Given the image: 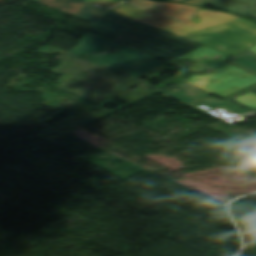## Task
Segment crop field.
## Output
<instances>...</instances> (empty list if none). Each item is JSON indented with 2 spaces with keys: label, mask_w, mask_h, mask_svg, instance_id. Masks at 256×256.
Masks as SVG:
<instances>
[{
  "label": "crop field",
  "mask_w": 256,
  "mask_h": 256,
  "mask_svg": "<svg viewBox=\"0 0 256 256\" xmlns=\"http://www.w3.org/2000/svg\"><path fill=\"white\" fill-rule=\"evenodd\" d=\"M217 54L222 57L212 60ZM206 56L208 58L206 60L203 59ZM227 57L224 54L201 46L196 51L186 53L169 62L177 64L182 67V70L194 74L184 79V81L224 98L256 83V76L224 62L223 60ZM187 61L191 62V64H186L185 62ZM200 64H203V66ZM204 68L215 71L211 74L199 75L198 71Z\"/></svg>",
  "instance_id": "crop-field-2"
},
{
  "label": "crop field",
  "mask_w": 256,
  "mask_h": 256,
  "mask_svg": "<svg viewBox=\"0 0 256 256\" xmlns=\"http://www.w3.org/2000/svg\"><path fill=\"white\" fill-rule=\"evenodd\" d=\"M109 1H111V2H113L115 4H117V5H119V4L124 2V1H121V0H109Z\"/></svg>",
  "instance_id": "crop-field-18"
},
{
  "label": "crop field",
  "mask_w": 256,
  "mask_h": 256,
  "mask_svg": "<svg viewBox=\"0 0 256 256\" xmlns=\"http://www.w3.org/2000/svg\"><path fill=\"white\" fill-rule=\"evenodd\" d=\"M114 11L122 13L129 17L135 18L137 20H139L143 17H146L148 15L154 14V13L148 12L146 10L140 9L138 7H135L133 5H130L128 3H125V4L117 7Z\"/></svg>",
  "instance_id": "crop-field-11"
},
{
  "label": "crop field",
  "mask_w": 256,
  "mask_h": 256,
  "mask_svg": "<svg viewBox=\"0 0 256 256\" xmlns=\"http://www.w3.org/2000/svg\"><path fill=\"white\" fill-rule=\"evenodd\" d=\"M168 1L186 3V4L203 7V6L210 4L216 0H168Z\"/></svg>",
  "instance_id": "crop-field-15"
},
{
  "label": "crop field",
  "mask_w": 256,
  "mask_h": 256,
  "mask_svg": "<svg viewBox=\"0 0 256 256\" xmlns=\"http://www.w3.org/2000/svg\"><path fill=\"white\" fill-rule=\"evenodd\" d=\"M225 61L256 75V53L246 50Z\"/></svg>",
  "instance_id": "crop-field-10"
},
{
  "label": "crop field",
  "mask_w": 256,
  "mask_h": 256,
  "mask_svg": "<svg viewBox=\"0 0 256 256\" xmlns=\"http://www.w3.org/2000/svg\"><path fill=\"white\" fill-rule=\"evenodd\" d=\"M95 24L105 13L87 0H35Z\"/></svg>",
  "instance_id": "crop-field-5"
},
{
  "label": "crop field",
  "mask_w": 256,
  "mask_h": 256,
  "mask_svg": "<svg viewBox=\"0 0 256 256\" xmlns=\"http://www.w3.org/2000/svg\"><path fill=\"white\" fill-rule=\"evenodd\" d=\"M127 1V0H126Z\"/></svg>",
  "instance_id": "crop-field-20"
},
{
  "label": "crop field",
  "mask_w": 256,
  "mask_h": 256,
  "mask_svg": "<svg viewBox=\"0 0 256 256\" xmlns=\"http://www.w3.org/2000/svg\"><path fill=\"white\" fill-rule=\"evenodd\" d=\"M142 84V82L135 80V79H127L122 83V85L115 90L100 106L104 107L108 103L114 101V98L119 97L118 99H125L126 103L120 106V108L129 105L145 96H149L155 92H157L158 88H155L153 86L144 84L143 86L137 87L136 89L132 90L131 92L128 90L130 87L137 86ZM123 90H120L121 87ZM144 87H147V89H143ZM120 108L116 109L115 111L119 110Z\"/></svg>",
  "instance_id": "crop-field-6"
},
{
  "label": "crop field",
  "mask_w": 256,
  "mask_h": 256,
  "mask_svg": "<svg viewBox=\"0 0 256 256\" xmlns=\"http://www.w3.org/2000/svg\"><path fill=\"white\" fill-rule=\"evenodd\" d=\"M39 52L46 54L63 53L68 55L62 58L59 67L51 70L54 73H64L52 86L59 89L62 87V90L96 104L108 96L117 87V83L127 79L126 76L115 74L107 68L49 46L42 47ZM70 64L72 66H70ZM80 67H82V69H79ZM75 70H77V72H75ZM84 72H87V74H83ZM68 74H70V76H68ZM81 77H85L84 80H80ZM71 78L75 80L70 81ZM57 82L59 86H55ZM75 82L78 83L74 84ZM89 82H91V84L87 88L86 85ZM92 85L95 86L91 88ZM73 89H75V91H73ZM105 93L108 94L104 96ZM94 94H97V96H94Z\"/></svg>",
  "instance_id": "crop-field-3"
},
{
  "label": "crop field",
  "mask_w": 256,
  "mask_h": 256,
  "mask_svg": "<svg viewBox=\"0 0 256 256\" xmlns=\"http://www.w3.org/2000/svg\"><path fill=\"white\" fill-rule=\"evenodd\" d=\"M130 4H133V3H130ZM133 5L138 6L136 4H133ZM138 7H140V6H138ZM140 8H143V7H140ZM143 9H145V8H143ZM146 10H148V9H146ZM140 21H143L145 23L151 24V25L156 26L158 28H161V27H164L166 25H170V24H173V23L176 22V21H174L172 19H169V18L164 17V16H162L160 14H157V13L154 14V15H151L149 17L143 18Z\"/></svg>",
  "instance_id": "crop-field-12"
},
{
  "label": "crop field",
  "mask_w": 256,
  "mask_h": 256,
  "mask_svg": "<svg viewBox=\"0 0 256 256\" xmlns=\"http://www.w3.org/2000/svg\"><path fill=\"white\" fill-rule=\"evenodd\" d=\"M241 221H242L243 227H245V226H244V223H246V224H248V225H250V226L256 228V219H254V218H252V217H250V216H248V217L242 219Z\"/></svg>",
  "instance_id": "crop-field-16"
},
{
  "label": "crop field",
  "mask_w": 256,
  "mask_h": 256,
  "mask_svg": "<svg viewBox=\"0 0 256 256\" xmlns=\"http://www.w3.org/2000/svg\"><path fill=\"white\" fill-rule=\"evenodd\" d=\"M129 2L179 22L158 29L112 11L91 32L166 61L201 45L230 56L256 45V24L235 15L176 3Z\"/></svg>",
  "instance_id": "crop-field-1"
},
{
  "label": "crop field",
  "mask_w": 256,
  "mask_h": 256,
  "mask_svg": "<svg viewBox=\"0 0 256 256\" xmlns=\"http://www.w3.org/2000/svg\"><path fill=\"white\" fill-rule=\"evenodd\" d=\"M160 64H162V63L157 62L154 59H151V60L145 62L144 64H142V65H140V66L124 73V74H127V75L132 76V77H136V76H138V75H140V74H142V73H144V72H146V71H148V70H150V69H152V68H154V67H156Z\"/></svg>",
  "instance_id": "crop-field-13"
},
{
  "label": "crop field",
  "mask_w": 256,
  "mask_h": 256,
  "mask_svg": "<svg viewBox=\"0 0 256 256\" xmlns=\"http://www.w3.org/2000/svg\"><path fill=\"white\" fill-rule=\"evenodd\" d=\"M184 87H190V88L185 89ZM168 89H172V90L170 91ZM177 89H180L182 91H179ZM161 92L168 94L172 97H175L185 103H191L196 100H199V99H202V98L212 95L206 91H203L194 86H191L183 81L174 86L168 87V88L162 90Z\"/></svg>",
  "instance_id": "crop-field-7"
},
{
  "label": "crop field",
  "mask_w": 256,
  "mask_h": 256,
  "mask_svg": "<svg viewBox=\"0 0 256 256\" xmlns=\"http://www.w3.org/2000/svg\"><path fill=\"white\" fill-rule=\"evenodd\" d=\"M246 110L256 111V84L225 99Z\"/></svg>",
  "instance_id": "crop-field-9"
},
{
  "label": "crop field",
  "mask_w": 256,
  "mask_h": 256,
  "mask_svg": "<svg viewBox=\"0 0 256 256\" xmlns=\"http://www.w3.org/2000/svg\"><path fill=\"white\" fill-rule=\"evenodd\" d=\"M203 104V105H206V106H209V107H214V108H218V107H221L229 102L225 101V100H219V99H215L213 97H210V98H207V99H204V100H201V101H198V102H195V103H192L193 105H196V104Z\"/></svg>",
  "instance_id": "crop-field-14"
},
{
  "label": "crop field",
  "mask_w": 256,
  "mask_h": 256,
  "mask_svg": "<svg viewBox=\"0 0 256 256\" xmlns=\"http://www.w3.org/2000/svg\"><path fill=\"white\" fill-rule=\"evenodd\" d=\"M91 2H95V3H99V4H102V5H110V7H116L117 5L111 3V2H108L106 0H92Z\"/></svg>",
  "instance_id": "crop-field-17"
},
{
  "label": "crop field",
  "mask_w": 256,
  "mask_h": 256,
  "mask_svg": "<svg viewBox=\"0 0 256 256\" xmlns=\"http://www.w3.org/2000/svg\"><path fill=\"white\" fill-rule=\"evenodd\" d=\"M210 5L242 16L255 17L256 21V0H218Z\"/></svg>",
  "instance_id": "crop-field-8"
},
{
  "label": "crop field",
  "mask_w": 256,
  "mask_h": 256,
  "mask_svg": "<svg viewBox=\"0 0 256 256\" xmlns=\"http://www.w3.org/2000/svg\"><path fill=\"white\" fill-rule=\"evenodd\" d=\"M249 50H251V51H253V52H256V46L253 47V48H251V49H249Z\"/></svg>",
  "instance_id": "crop-field-19"
},
{
  "label": "crop field",
  "mask_w": 256,
  "mask_h": 256,
  "mask_svg": "<svg viewBox=\"0 0 256 256\" xmlns=\"http://www.w3.org/2000/svg\"><path fill=\"white\" fill-rule=\"evenodd\" d=\"M111 49L113 53H108ZM69 53L81 57H88L92 61L109 69L124 73L145 61L153 58L149 55L115 43L99 35L87 33L81 39V45L69 51ZM112 64H117L113 66Z\"/></svg>",
  "instance_id": "crop-field-4"
}]
</instances>
